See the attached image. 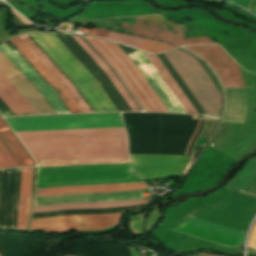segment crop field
I'll use <instances>...</instances> for the list:
<instances>
[{
  "mask_svg": "<svg viewBox=\"0 0 256 256\" xmlns=\"http://www.w3.org/2000/svg\"><path fill=\"white\" fill-rule=\"evenodd\" d=\"M115 20L129 33L172 42L178 46L187 44H214L207 37L187 38V32L169 27L131 18H116Z\"/></svg>",
  "mask_w": 256,
  "mask_h": 256,
  "instance_id": "crop-field-11",
  "label": "crop field"
},
{
  "mask_svg": "<svg viewBox=\"0 0 256 256\" xmlns=\"http://www.w3.org/2000/svg\"><path fill=\"white\" fill-rule=\"evenodd\" d=\"M207 115L219 116L221 95L195 58L179 49L164 52Z\"/></svg>",
  "mask_w": 256,
  "mask_h": 256,
  "instance_id": "crop-field-6",
  "label": "crop field"
},
{
  "mask_svg": "<svg viewBox=\"0 0 256 256\" xmlns=\"http://www.w3.org/2000/svg\"><path fill=\"white\" fill-rule=\"evenodd\" d=\"M84 37L116 70L144 110L169 112L136 64L134 65L118 45L89 35Z\"/></svg>",
  "mask_w": 256,
  "mask_h": 256,
  "instance_id": "crop-field-5",
  "label": "crop field"
},
{
  "mask_svg": "<svg viewBox=\"0 0 256 256\" xmlns=\"http://www.w3.org/2000/svg\"><path fill=\"white\" fill-rule=\"evenodd\" d=\"M249 246L256 249V224L254 225L253 230L251 232Z\"/></svg>",
  "mask_w": 256,
  "mask_h": 256,
  "instance_id": "crop-field-30",
  "label": "crop field"
},
{
  "mask_svg": "<svg viewBox=\"0 0 256 256\" xmlns=\"http://www.w3.org/2000/svg\"><path fill=\"white\" fill-rule=\"evenodd\" d=\"M137 177L130 164L39 168L37 183Z\"/></svg>",
  "mask_w": 256,
  "mask_h": 256,
  "instance_id": "crop-field-8",
  "label": "crop field"
},
{
  "mask_svg": "<svg viewBox=\"0 0 256 256\" xmlns=\"http://www.w3.org/2000/svg\"><path fill=\"white\" fill-rule=\"evenodd\" d=\"M172 48H176V47L168 45L166 43L155 42V41L145 39V41L139 47V50H143L150 53H157V52L165 51Z\"/></svg>",
  "mask_w": 256,
  "mask_h": 256,
  "instance_id": "crop-field-26",
  "label": "crop field"
},
{
  "mask_svg": "<svg viewBox=\"0 0 256 256\" xmlns=\"http://www.w3.org/2000/svg\"><path fill=\"white\" fill-rule=\"evenodd\" d=\"M0 98L15 116L56 114L44 96L1 50Z\"/></svg>",
  "mask_w": 256,
  "mask_h": 256,
  "instance_id": "crop-field-4",
  "label": "crop field"
},
{
  "mask_svg": "<svg viewBox=\"0 0 256 256\" xmlns=\"http://www.w3.org/2000/svg\"><path fill=\"white\" fill-rule=\"evenodd\" d=\"M4 53L15 63V65L27 76V78L45 96L57 114L69 113L55 92L48 84L35 72V70L17 52H13L5 43L0 45ZM34 86V87H35Z\"/></svg>",
  "mask_w": 256,
  "mask_h": 256,
  "instance_id": "crop-field-15",
  "label": "crop field"
},
{
  "mask_svg": "<svg viewBox=\"0 0 256 256\" xmlns=\"http://www.w3.org/2000/svg\"><path fill=\"white\" fill-rule=\"evenodd\" d=\"M34 167L22 168L17 229L25 230L29 223Z\"/></svg>",
  "mask_w": 256,
  "mask_h": 256,
  "instance_id": "crop-field-18",
  "label": "crop field"
},
{
  "mask_svg": "<svg viewBox=\"0 0 256 256\" xmlns=\"http://www.w3.org/2000/svg\"><path fill=\"white\" fill-rule=\"evenodd\" d=\"M0 141L8 150L18 166L34 165L14 135L0 118Z\"/></svg>",
  "mask_w": 256,
  "mask_h": 256,
  "instance_id": "crop-field-19",
  "label": "crop field"
},
{
  "mask_svg": "<svg viewBox=\"0 0 256 256\" xmlns=\"http://www.w3.org/2000/svg\"><path fill=\"white\" fill-rule=\"evenodd\" d=\"M134 171L143 179L172 177L183 171L190 157L130 154Z\"/></svg>",
  "mask_w": 256,
  "mask_h": 256,
  "instance_id": "crop-field-10",
  "label": "crop field"
},
{
  "mask_svg": "<svg viewBox=\"0 0 256 256\" xmlns=\"http://www.w3.org/2000/svg\"><path fill=\"white\" fill-rule=\"evenodd\" d=\"M25 44L37 55V57L48 67V69L60 80V82L67 88L83 113L92 112L82 96L79 94L74 85L65 77V75L50 61V59L34 44V42L27 36H19Z\"/></svg>",
  "mask_w": 256,
  "mask_h": 256,
  "instance_id": "crop-field-17",
  "label": "crop field"
},
{
  "mask_svg": "<svg viewBox=\"0 0 256 256\" xmlns=\"http://www.w3.org/2000/svg\"><path fill=\"white\" fill-rule=\"evenodd\" d=\"M148 189L145 182L116 184V185H96V186H75L37 189L36 197L76 194V193H103L123 190Z\"/></svg>",
  "mask_w": 256,
  "mask_h": 256,
  "instance_id": "crop-field-16",
  "label": "crop field"
},
{
  "mask_svg": "<svg viewBox=\"0 0 256 256\" xmlns=\"http://www.w3.org/2000/svg\"><path fill=\"white\" fill-rule=\"evenodd\" d=\"M148 201H149V199L141 200V201H130V202L63 204V205H55V206L33 208V213L45 212V211H56V210H67V209L121 207V206H128V205L143 204V203H146Z\"/></svg>",
  "mask_w": 256,
  "mask_h": 256,
  "instance_id": "crop-field-23",
  "label": "crop field"
},
{
  "mask_svg": "<svg viewBox=\"0 0 256 256\" xmlns=\"http://www.w3.org/2000/svg\"><path fill=\"white\" fill-rule=\"evenodd\" d=\"M103 163H130L129 159H88V160H57L41 161L40 167L66 166V165H91Z\"/></svg>",
  "mask_w": 256,
  "mask_h": 256,
  "instance_id": "crop-field-24",
  "label": "crop field"
},
{
  "mask_svg": "<svg viewBox=\"0 0 256 256\" xmlns=\"http://www.w3.org/2000/svg\"><path fill=\"white\" fill-rule=\"evenodd\" d=\"M30 35L76 85L94 112L117 111L94 77L55 35Z\"/></svg>",
  "mask_w": 256,
  "mask_h": 256,
  "instance_id": "crop-field-3",
  "label": "crop field"
},
{
  "mask_svg": "<svg viewBox=\"0 0 256 256\" xmlns=\"http://www.w3.org/2000/svg\"><path fill=\"white\" fill-rule=\"evenodd\" d=\"M202 57L217 73L224 87L245 86L240 68L234 60L217 45L187 46L185 47ZM234 62V63H231ZM236 78L232 72V69Z\"/></svg>",
  "mask_w": 256,
  "mask_h": 256,
  "instance_id": "crop-field-12",
  "label": "crop field"
},
{
  "mask_svg": "<svg viewBox=\"0 0 256 256\" xmlns=\"http://www.w3.org/2000/svg\"><path fill=\"white\" fill-rule=\"evenodd\" d=\"M230 190L256 196V160L252 159L230 186Z\"/></svg>",
  "mask_w": 256,
  "mask_h": 256,
  "instance_id": "crop-field-21",
  "label": "crop field"
},
{
  "mask_svg": "<svg viewBox=\"0 0 256 256\" xmlns=\"http://www.w3.org/2000/svg\"><path fill=\"white\" fill-rule=\"evenodd\" d=\"M252 12L256 13V3H255V6H254Z\"/></svg>",
  "mask_w": 256,
  "mask_h": 256,
  "instance_id": "crop-field-33",
  "label": "crop field"
},
{
  "mask_svg": "<svg viewBox=\"0 0 256 256\" xmlns=\"http://www.w3.org/2000/svg\"><path fill=\"white\" fill-rule=\"evenodd\" d=\"M82 32H88L100 37L105 38L107 36V34L109 33L108 31H104V30H99V29H93V30H88V29H84V28H80L79 29Z\"/></svg>",
  "mask_w": 256,
  "mask_h": 256,
  "instance_id": "crop-field-28",
  "label": "crop field"
},
{
  "mask_svg": "<svg viewBox=\"0 0 256 256\" xmlns=\"http://www.w3.org/2000/svg\"><path fill=\"white\" fill-rule=\"evenodd\" d=\"M15 48L27 59V61L39 72V74L57 92L71 113H82L66 88L59 80L47 69V67L36 57V55L19 38L9 40Z\"/></svg>",
  "mask_w": 256,
  "mask_h": 256,
  "instance_id": "crop-field-14",
  "label": "crop field"
},
{
  "mask_svg": "<svg viewBox=\"0 0 256 256\" xmlns=\"http://www.w3.org/2000/svg\"><path fill=\"white\" fill-rule=\"evenodd\" d=\"M34 160L128 157L124 128L16 132Z\"/></svg>",
  "mask_w": 256,
  "mask_h": 256,
  "instance_id": "crop-field-1",
  "label": "crop field"
},
{
  "mask_svg": "<svg viewBox=\"0 0 256 256\" xmlns=\"http://www.w3.org/2000/svg\"><path fill=\"white\" fill-rule=\"evenodd\" d=\"M14 131L124 127L120 113L6 118Z\"/></svg>",
  "mask_w": 256,
  "mask_h": 256,
  "instance_id": "crop-field-7",
  "label": "crop field"
},
{
  "mask_svg": "<svg viewBox=\"0 0 256 256\" xmlns=\"http://www.w3.org/2000/svg\"><path fill=\"white\" fill-rule=\"evenodd\" d=\"M0 159L3 161V163L6 165V167H13L17 166V164L14 162V160L11 158L9 153L6 151V149L3 147V145L0 142Z\"/></svg>",
  "mask_w": 256,
  "mask_h": 256,
  "instance_id": "crop-field-27",
  "label": "crop field"
},
{
  "mask_svg": "<svg viewBox=\"0 0 256 256\" xmlns=\"http://www.w3.org/2000/svg\"><path fill=\"white\" fill-rule=\"evenodd\" d=\"M106 39L133 47L138 49V47L141 45V43L144 41L143 38H138V37H132V36H127V35H122V34H117L110 32Z\"/></svg>",
  "mask_w": 256,
  "mask_h": 256,
  "instance_id": "crop-field-25",
  "label": "crop field"
},
{
  "mask_svg": "<svg viewBox=\"0 0 256 256\" xmlns=\"http://www.w3.org/2000/svg\"><path fill=\"white\" fill-rule=\"evenodd\" d=\"M255 213L256 199L229 192L213 205L204 206L192 216L246 231ZM192 216L172 230L229 246L244 244L245 231Z\"/></svg>",
  "mask_w": 256,
  "mask_h": 256,
  "instance_id": "crop-field-2",
  "label": "crop field"
},
{
  "mask_svg": "<svg viewBox=\"0 0 256 256\" xmlns=\"http://www.w3.org/2000/svg\"><path fill=\"white\" fill-rule=\"evenodd\" d=\"M232 1L248 10H251L254 0H228Z\"/></svg>",
  "mask_w": 256,
  "mask_h": 256,
  "instance_id": "crop-field-29",
  "label": "crop field"
},
{
  "mask_svg": "<svg viewBox=\"0 0 256 256\" xmlns=\"http://www.w3.org/2000/svg\"><path fill=\"white\" fill-rule=\"evenodd\" d=\"M121 214L122 213L32 219L29 231H47L53 233L70 230L98 231L117 226Z\"/></svg>",
  "mask_w": 256,
  "mask_h": 256,
  "instance_id": "crop-field-9",
  "label": "crop field"
},
{
  "mask_svg": "<svg viewBox=\"0 0 256 256\" xmlns=\"http://www.w3.org/2000/svg\"><path fill=\"white\" fill-rule=\"evenodd\" d=\"M79 44L80 46L97 62V64L107 73V75L110 77L112 82L115 84L117 89L120 91V93L123 95L125 100L128 102L130 107L133 109V111H140V109L137 107V105L134 103V101L131 99L129 94L126 92V90L123 88L121 83L118 81V79L115 77V75L112 73V71L107 67V65L99 58V56L92 50V48L83 40L81 36H72ZM121 95V96H122ZM126 102V103H127Z\"/></svg>",
  "mask_w": 256,
  "mask_h": 256,
  "instance_id": "crop-field-22",
  "label": "crop field"
},
{
  "mask_svg": "<svg viewBox=\"0 0 256 256\" xmlns=\"http://www.w3.org/2000/svg\"><path fill=\"white\" fill-rule=\"evenodd\" d=\"M150 62L153 64V66L156 68L158 73L161 75L163 80L166 82V84L169 86L171 91L174 93L176 98L179 100V102L182 104L184 109L187 111V113H194L198 114V112L195 110V108L192 106V104L189 102L187 97L184 95V93L181 91V89L178 87L176 82L173 80V78L170 76V74L167 72L165 67L162 65V63L159 61V59L156 57V55L151 56L148 54H145Z\"/></svg>",
  "mask_w": 256,
  "mask_h": 256,
  "instance_id": "crop-field-20",
  "label": "crop field"
},
{
  "mask_svg": "<svg viewBox=\"0 0 256 256\" xmlns=\"http://www.w3.org/2000/svg\"><path fill=\"white\" fill-rule=\"evenodd\" d=\"M199 123H200V120L198 121V123H197V125H196V127H195V130H194V132H193V134H192V136H191V138H190V141H189V143H188V146H187L186 152H185L186 155H187V152H188V148H189V146H190V144H191V142H192V140H193V138H194V135H195V133H196V130H197V127H198ZM198 128H199V127H198Z\"/></svg>",
  "mask_w": 256,
  "mask_h": 256,
  "instance_id": "crop-field-31",
  "label": "crop field"
},
{
  "mask_svg": "<svg viewBox=\"0 0 256 256\" xmlns=\"http://www.w3.org/2000/svg\"><path fill=\"white\" fill-rule=\"evenodd\" d=\"M67 256H69V255H67Z\"/></svg>",
  "mask_w": 256,
  "mask_h": 256,
  "instance_id": "crop-field-35",
  "label": "crop field"
},
{
  "mask_svg": "<svg viewBox=\"0 0 256 256\" xmlns=\"http://www.w3.org/2000/svg\"><path fill=\"white\" fill-rule=\"evenodd\" d=\"M5 167V165L2 163V161L0 160V168Z\"/></svg>",
  "mask_w": 256,
  "mask_h": 256,
  "instance_id": "crop-field-32",
  "label": "crop field"
},
{
  "mask_svg": "<svg viewBox=\"0 0 256 256\" xmlns=\"http://www.w3.org/2000/svg\"><path fill=\"white\" fill-rule=\"evenodd\" d=\"M199 255H204V256H216V255H209V254H199Z\"/></svg>",
  "mask_w": 256,
  "mask_h": 256,
  "instance_id": "crop-field-34",
  "label": "crop field"
},
{
  "mask_svg": "<svg viewBox=\"0 0 256 256\" xmlns=\"http://www.w3.org/2000/svg\"><path fill=\"white\" fill-rule=\"evenodd\" d=\"M128 56L136 64L170 112L186 113L144 53L136 51L128 54Z\"/></svg>",
  "mask_w": 256,
  "mask_h": 256,
  "instance_id": "crop-field-13",
  "label": "crop field"
}]
</instances>
